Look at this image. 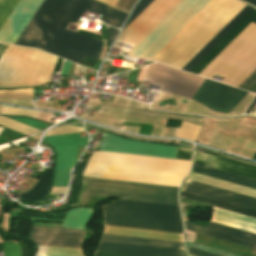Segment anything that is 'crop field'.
<instances>
[{
    "mask_svg": "<svg viewBox=\"0 0 256 256\" xmlns=\"http://www.w3.org/2000/svg\"><path fill=\"white\" fill-rule=\"evenodd\" d=\"M199 128L200 127L195 126L193 124L183 122L176 137H181L184 139L195 141Z\"/></svg>",
    "mask_w": 256,
    "mask_h": 256,
    "instance_id": "obj_26",
    "label": "crop field"
},
{
    "mask_svg": "<svg viewBox=\"0 0 256 256\" xmlns=\"http://www.w3.org/2000/svg\"><path fill=\"white\" fill-rule=\"evenodd\" d=\"M52 169L46 168L41 178L36 183L34 189L20 197L21 202H32L43 198L48 192L51 183Z\"/></svg>",
    "mask_w": 256,
    "mask_h": 256,
    "instance_id": "obj_20",
    "label": "crop field"
},
{
    "mask_svg": "<svg viewBox=\"0 0 256 256\" xmlns=\"http://www.w3.org/2000/svg\"><path fill=\"white\" fill-rule=\"evenodd\" d=\"M182 191L256 211V199L192 180H184Z\"/></svg>",
    "mask_w": 256,
    "mask_h": 256,
    "instance_id": "obj_13",
    "label": "crop field"
},
{
    "mask_svg": "<svg viewBox=\"0 0 256 256\" xmlns=\"http://www.w3.org/2000/svg\"><path fill=\"white\" fill-rule=\"evenodd\" d=\"M98 1L104 2V3L109 4L114 7V5L116 4V2L118 0H98Z\"/></svg>",
    "mask_w": 256,
    "mask_h": 256,
    "instance_id": "obj_40",
    "label": "crop field"
},
{
    "mask_svg": "<svg viewBox=\"0 0 256 256\" xmlns=\"http://www.w3.org/2000/svg\"><path fill=\"white\" fill-rule=\"evenodd\" d=\"M247 3L256 7V0H248Z\"/></svg>",
    "mask_w": 256,
    "mask_h": 256,
    "instance_id": "obj_43",
    "label": "crop field"
},
{
    "mask_svg": "<svg viewBox=\"0 0 256 256\" xmlns=\"http://www.w3.org/2000/svg\"><path fill=\"white\" fill-rule=\"evenodd\" d=\"M100 150L175 159L176 147L143 143L106 133Z\"/></svg>",
    "mask_w": 256,
    "mask_h": 256,
    "instance_id": "obj_12",
    "label": "crop field"
},
{
    "mask_svg": "<svg viewBox=\"0 0 256 256\" xmlns=\"http://www.w3.org/2000/svg\"><path fill=\"white\" fill-rule=\"evenodd\" d=\"M243 1H245V2H246L247 0H243Z\"/></svg>",
    "mask_w": 256,
    "mask_h": 256,
    "instance_id": "obj_47",
    "label": "crop field"
},
{
    "mask_svg": "<svg viewBox=\"0 0 256 256\" xmlns=\"http://www.w3.org/2000/svg\"><path fill=\"white\" fill-rule=\"evenodd\" d=\"M203 81L204 78L157 63L151 83L166 85L163 91L192 98Z\"/></svg>",
    "mask_w": 256,
    "mask_h": 256,
    "instance_id": "obj_11",
    "label": "crop field"
},
{
    "mask_svg": "<svg viewBox=\"0 0 256 256\" xmlns=\"http://www.w3.org/2000/svg\"><path fill=\"white\" fill-rule=\"evenodd\" d=\"M250 115H256V111L254 113L250 114Z\"/></svg>",
    "mask_w": 256,
    "mask_h": 256,
    "instance_id": "obj_45",
    "label": "crop field"
},
{
    "mask_svg": "<svg viewBox=\"0 0 256 256\" xmlns=\"http://www.w3.org/2000/svg\"><path fill=\"white\" fill-rule=\"evenodd\" d=\"M119 30L114 29L112 27L108 28V40H107V45H110L111 42L115 39L117 33Z\"/></svg>",
    "mask_w": 256,
    "mask_h": 256,
    "instance_id": "obj_34",
    "label": "crop field"
},
{
    "mask_svg": "<svg viewBox=\"0 0 256 256\" xmlns=\"http://www.w3.org/2000/svg\"><path fill=\"white\" fill-rule=\"evenodd\" d=\"M90 10L104 17L105 23L121 28L127 13L94 0H44L16 44L39 47L78 64L85 56L96 60L102 41L66 29Z\"/></svg>",
    "mask_w": 256,
    "mask_h": 256,
    "instance_id": "obj_1",
    "label": "crop field"
},
{
    "mask_svg": "<svg viewBox=\"0 0 256 256\" xmlns=\"http://www.w3.org/2000/svg\"><path fill=\"white\" fill-rule=\"evenodd\" d=\"M256 24V19L253 21ZM251 23L199 76L225 77L222 83L237 87L256 68V25ZM256 93V69L238 86Z\"/></svg>",
    "mask_w": 256,
    "mask_h": 256,
    "instance_id": "obj_3",
    "label": "crop field"
},
{
    "mask_svg": "<svg viewBox=\"0 0 256 256\" xmlns=\"http://www.w3.org/2000/svg\"><path fill=\"white\" fill-rule=\"evenodd\" d=\"M155 64L149 65L145 79H148V80L151 79L153 72H154Z\"/></svg>",
    "mask_w": 256,
    "mask_h": 256,
    "instance_id": "obj_36",
    "label": "crop field"
},
{
    "mask_svg": "<svg viewBox=\"0 0 256 256\" xmlns=\"http://www.w3.org/2000/svg\"><path fill=\"white\" fill-rule=\"evenodd\" d=\"M152 1H153V0H140V2L137 4V6L134 8L133 12L131 13V15H130L128 21H127V23H126L125 26H124V28L138 15L150 2H152ZM150 4H151V3H150ZM150 4H149V5H150ZM149 5H148V6H149ZM148 6H147V7H148ZM147 7H146V8H147ZM146 8H145V9H146ZM145 9H144V10H145ZM144 10H143V11H144ZM143 11H142V12H143ZM142 12H141V13H142ZM141 13H140V14H141ZM124 28H123V29H124Z\"/></svg>",
    "mask_w": 256,
    "mask_h": 256,
    "instance_id": "obj_29",
    "label": "crop field"
},
{
    "mask_svg": "<svg viewBox=\"0 0 256 256\" xmlns=\"http://www.w3.org/2000/svg\"><path fill=\"white\" fill-rule=\"evenodd\" d=\"M188 250H189L191 256H218V255L210 254V253L199 251V250L192 249V248H188Z\"/></svg>",
    "mask_w": 256,
    "mask_h": 256,
    "instance_id": "obj_35",
    "label": "crop field"
},
{
    "mask_svg": "<svg viewBox=\"0 0 256 256\" xmlns=\"http://www.w3.org/2000/svg\"><path fill=\"white\" fill-rule=\"evenodd\" d=\"M181 197L256 218V212L246 210V209H242V208H239V207H235V206H232V205H228V204H225V203H221V202H218V201H214V200H211V199H207V198H204V197L196 196V195L189 194V193L182 192V191H181Z\"/></svg>",
    "mask_w": 256,
    "mask_h": 256,
    "instance_id": "obj_24",
    "label": "crop field"
},
{
    "mask_svg": "<svg viewBox=\"0 0 256 256\" xmlns=\"http://www.w3.org/2000/svg\"><path fill=\"white\" fill-rule=\"evenodd\" d=\"M137 0H119L115 5V8L126 11L129 13L133 5Z\"/></svg>",
    "mask_w": 256,
    "mask_h": 256,
    "instance_id": "obj_33",
    "label": "crop field"
},
{
    "mask_svg": "<svg viewBox=\"0 0 256 256\" xmlns=\"http://www.w3.org/2000/svg\"><path fill=\"white\" fill-rule=\"evenodd\" d=\"M186 243H187L188 247L196 248V249H199V250L207 251V252L218 254V255H221V256H237V255H234V254L219 251V250H216V249H212V248L205 247V246H202V245L194 244V243H191V242L186 241Z\"/></svg>",
    "mask_w": 256,
    "mask_h": 256,
    "instance_id": "obj_30",
    "label": "crop field"
},
{
    "mask_svg": "<svg viewBox=\"0 0 256 256\" xmlns=\"http://www.w3.org/2000/svg\"><path fill=\"white\" fill-rule=\"evenodd\" d=\"M84 147L59 149L55 150L57 153V167L56 169H71Z\"/></svg>",
    "mask_w": 256,
    "mask_h": 256,
    "instance_id": "obj_23",
    "label": "crop field"
},
{
    "mask_svg": "<svg viewBox=\"0 0 256 256\" xmlns=\"http://www.w3.org/2000/svg\"><path fill=\"white\" fill-rule=\"evenodd\" d=\"M5 166L7 165L0 163V169H4Z\"/></svg>",
    "mask_w": 256,
    "mask_h": 256,
    "instance_id": "obj_44",
    "label": "crop field"
},
{
    "mask_svg": "<svg viewBox=\"0 0 256 256\" xmlns=\"http://www.w3.org/2000/svg\"><path fill=\"white\" fill-rule=\"evenodd\" d=\"M179 188L88 177L85 194L178 205Z\"/></svg>",
    "mask_w": 256,
    "mask_h": 256,
    "instance_id": "obj_6",
    "label": "crop field"
},
{
    "mask_svg": "<svg viewBox=\"0 0 256 256\" xmlns=\"http://www.w3.org/2000/svg\"><path fill=\"white\" fill-rule=\"evenodd\" d=\"M7 45L0 44V57L3 54L4 50L6 49Z\"/></svg>",
    "mask_w": 256,
    "mask_h": 256,
    "instance_id": "obj_42",
    "label": "crop field"
},
{
    "mask_svg": "<svg viewBox=\"0 0 256 256\" xmlns=\"http://www.w3.org/2000/svg\"><path fill=\"white\" fill-rule=\"evenodd\" d=\"M211 221L256 233V219L218 208L213 207ZM212 222L208 228L186 222L185 223L188 231L204 234L256 249V234Z\"/></svg>",
    "mask_w": 256,
    "mask_h": 256,
    "instance_id": "obj_7",
    "label": "crop field"
},
{
    "mask_svg": "<svg viewBox=\"0 0 256 256\" xmlns=\"http://www.w3.org/2000/svg\"><path fill=\"white\" fill-rule=\"evenodd\" d=\"M11 119L22 122L24 124H27V125L32 126L34 128H37L39 130H42V129L50 126L48 124H44V123H41V122H38V121H35V120H31V119H28V118H11Z\"/></svg>",
    "mask_w": 256,
    "mask_h": 256,
    "instance_id": "obj_31",
    "label": "crop field"
},
{
    "mask_svg": "<svg viewBox=\"0 0 256 256\" xmlns=\"http://www.w3.org/2000/svg\"><path fill=\"white\" fill-rule=\"evenodd\" d=\"M256 17L254 9L223 41H221L192 71L198 75L228 44H230Z\"/></svg>",
    "mask_w": 256,
    "mask_h": 256,
    "instance_id": "obj_17",
    "label": "crop field"
},
{
    "mask_svg": "<svg viewBox=\"0 0 256 256\" xmlns=\"http://www.w3.org/2000/svg\"><path fill=\"white\" fill-rule=\"evenodd\" d=\"M244 6L211 0L152 60L181 69Z\"/></svg>",
    "mask_w": 256,
    "mask_h": 256,
    "instance_id": "obj_2",
    "label": "crop field"
},
{
    "mask_svg": "<svg viewBox=\"0 0 256 256\" xmlns=\"http://www.w3.org/2000/svg\"><path fill=\"white\" fill-rule=\"evenodd\" d=\"M17 2L18 0H1L0 1V27Z\"/></svg>",
    "mask_w": 256,
    "mask_h": 256,
    "instance_id": "obj_27",
    "label": "crop field"
},
{
    "mask_svg": "<svg viewBox=\"0 0 256 256\" xmlns=\"http://www.w3.org/2000/svg\"><path fill=\"white\" fill-rule=\"evenodd\" d=\"M246 94L247 92L205 79L193 100L215 111L230 112Z\"/></svg>",
    "mask_w": 256,
    "mask_h": 256,
    "instance_id": "obj_10",
    "label": "crop field"
},
{
    "mask_svg": "<svg viewBox=\"0 0 256 256\" xmlns=\"http://www.w3.org/2000/svg\"><path fill=\"white\" fill-rule=\"evenodd\" d=\"M253 8L245 6L214 38H212L183 68L190 72L225 36H227Z\"/></svg>",
    "mask_w": 256,
    "mask_h": 256,
    "instance_id": "obj_16",
    "label": "crop field"
},
{
    "mask_svg": "<svg viewBox=\"0 0 256 256\" xmlns=\"http://www.w3.org/2000/svg\"><path fill=\"white\" fill-rule=\"evenodd\" d=\"M253 159H255V160H256V154L254 155Z\"/></svg>",
    "mask_w": 256,
    "mask_h": 256,
    "instance_id": "obj_46",
    "label": "crop field"
},
{
    "mask_svg": "<svg viewBox=\"0 0 256 256\" xmlns=\"http://www.w3.org/2000/svg\"><path fill=\"white\" fill-rule=\"evenodd\" d=\"M88 137L81 138L79 133L44 137L43 141L53 149L84 146Z\"/></svg>",
    "mask_w": 256,
    "mask_h": 256,
    "instance_id": "obj_22",
    "label": "crop field"
},
{
    "mask_svg": "<svg viewBox=\"0 0 256 256\" xmlns=\"http://www.w3.org/2000/svg\"><path fill=\"white\" fill-rule=\"evenodd\" d=\"M70 62L65 61L61 74L67 75L70 67Z\"/></svg>",
    "mask_w": 256,
    "mask_h": 256,
    "instance_id": "obj_37",
    "label": "crop field"
},
{
    "mask_svg": "<svg viewBox=\"0 0 256 256\" xmlns=\"http://www.w3.org/2000/svg\"><path fill=\"white\" fill-rule=\"evenodd\" d=\"M116 68H117V67L110 65L109 68H108V71H107V75H106V76L111 75V74H114V73L116 72Z\"/></svg>",
    "mask_w": 256,
    "mask_h": 256,
    "instance_id": "obj_38",
    "label": "crop field"
},
{
    "mask_svg": "<svg viewBox=\"0 0 256 256\" xmlns=\"http://www.w3.org/2000/svg\"><path fill=\"white\" fill-rule=\"evenodd\" d=\"M69 171L55 170L53 187H66Z\"/></svg>",
    "mask_w": 256,
    "mask_h": 256,
    "instance_id": "obj_28",
    "label": "crop field"
},
{
    "mask_svg": "<svg viewBox=\"0 0 256 256\" xmlns=\"http://www.w3.org/2000/svg\"><path fill=\"white\" fill-rule=\"evenodd\" d=\"M181 0H154L120 34L117 41L137 45Z\"/></svg>",
    "mask_w": 256,
    "mask_h": 256,
    "instance_id": "obj_9",
    "label": "crop field"
},
{
    "mask_svg": "<svg viewBox=\"0 0 256 256\" xmlns=\"http://www.w3.org/2000/svg\"><path fill=\"white\" fill-rule=\"evenodd\" d=\"M192 148L179 147L176 159L191 161Z\"/></svg>",
    "mask_w": 256,
    "mask_h": 256,
    "instance_id": "obj_32",
    "label": "crop field"
},
{
    "mask_svg": "<svg viewBox=\"0 0 256 256\" xmlns=\"http://www.w3.org/2000/svg\"><path fill=\"white\" fill-rule=\"evenodd\" d=\"M56 59L40 50L8 45L0 59V88L50 83Z\"/></svg>",
    "mask_w": 256,
    "mask_h": 256,
    "instance_id": "obj_5",
    "label": "crop field"
},
{
    "mask_svg": "<svg viewBox=\"0 0 256 256\" xmlns=\"http://www.w3.org/2000/svg\"><path fill=\"white\" fill-rule=\"evenodd\" d=\"M0 125L8 127L10 129H13V130H16L18 132L24 133L26 135L33 134V133H36V132H40L38 130H35L31 127H28L26 125H23L21 123H18L16 121H13V120H11L9 118H6V117H3V116H0Z\"/></svg>",
    "mask_w": 256,
    "mask_h": 256,
    "instance_id": "obj_25",
    "label": "crop field"
},
{
    "mask_svg": "<svg viewBox=\"0 0 256 256\" xmlns=\"http://www.w3.org/2000/svg\"><path fill=\"white\" fill-rule=\"evenodd\" d=\"M96 256H126V255H117V254H109V253L96 252Z\"/></svg>",
    "mask_w": 256,
    "mask_h": 256,
    "instance_id": "obj_39",
    "label": "crop field"
},
{
    "mask_svg": "<svg viewBox=\"0 0 256 256\" xmlns=\"http://www.w3.org/2000/svg\"><path fill=\"white\" fill-rule=\"evenodd\" d=\"M97 251L135 256H188L186 251L121 244L105 241L100 242V246Z\"/></svg>",
    "mask_w": 256,
    "mask_h": 256,
    "instance_id": "obj_15",
    "label": "crop field"
},
{
    "mask_svg": "<svg viewBox=\"0 0 256 256\" xmlns=\"http://www.w3.org/2000/svg\"><path fill=\"white\" fill-rule=\"evenodd\" d=\"M254 131H256V129Z\"/></svg>",
    "mask_w": 256,
    "mask_h": 256,
    "instance_id": "obj_48",
    "label": "crop field"
},
{
    "mask_svg": "<svg viewBox=\"0 0 256 256\" xmlns=\"http://www.w3.org/2000/svg\"><path fill=\"white\" fill-rule=\"evenodd\" d=\"M93 214V209L76 208L67 213L62 227L84 230L85 224Z\"/></svg>",
    "mask_w": 256,
    "mask_h": 256,
    "instance_id": "obj_21",
    "label": "crop field"
},
{
    "mask_svg": "<svg viewBox=\"0 0 256 256\" xmlns=\"http://www.w3.org/2000/svg\"><path fill=\"white\" fill-rule=\"evenodd\" d=\"M102 240L184 250L182 243L104 234Z\"/></svg>",
    "mask_w": 256,
    "mask_h": 256,
    "instance_id": "obj_19",
    "label": "crop field"
},
{
    "mask_svg": "<svg viewBox=\"0 0 256 256\" xmlns=\"http://www.w3.org/2000/svg\"><path fill=\"white\" fill-rule=\"evenodd\" d=\"M61 62H62V59L58 58L57 59V62H56V65H55V68H54V71H59L60 69V66H61Z\"/></svg>",
    "mask_w": 256,
    "mask_h": 256,
    "instance_id": "obj_41",
    "label": "crop field"
},
{
    "mask_svg": "<svg viewBox=\"0 0 256 256\" xmlns=\"http://www.w3.org/2000/svg\"><path fill=\"white\" fill-rule=\"evenodd\" d=\"M104 233L182 242V239H181L182 234H178V233L148 231V230L109 227V226H105Z\"/></svg>",
    "mask_w": 256,
    "mask_h": 256,
    "instance_id": "obj_18",
    "label": "crop field"
},
{
    "mask_svg": "<svg viewBox=\"0 0 256 256\" xmlns=\"http://www.w3.org/2000/svg\"><path fill=\"white\" fill-rule=\"evenodd\" d=\"M84 231L34 227L29 235L36 245L81 249Z\"/></svg>",
    "mask_w": 256,
    "mask_h": 256,
    "instance_id": "obj_14",
    "label": "crop field"
},
{
    "mask_svg": "<svg viewBox=\"0 0 256 256\" xmlns=\"http://www.w3.org/2000/svg\"><path fill=\"white\" fill-rule=\"evenodd\" d=\"M194 163L256 180V166H252L240 161L195 152ZM195 164L192 170L193 173L201 174L204 176H208L211 178L219 179L222 181L230 182L233 184H237L240 186L256 190V181L220 172L210 168L202 167Z\"/></svg>",
    "mask_w": 256,
    "mask_h": 256,
    "instance_id": "obj_8",
    "label": "crop field"
},
{
    "mask_svg": "<svg viewBox=\"0 0 256 256\" xmlns=\"http://www.w3.org/2000/svg\"><path fill=\"white\" fill-rule=\"evenodd\" d=\"M105 225L182 233L179 206L119 200L102 207Z\"/></svg>",
    "mask_w": 256,
    "mask_h": 256,
    "instance_id": "obj_4",
    "label": "crop field"
}]
</instances>
